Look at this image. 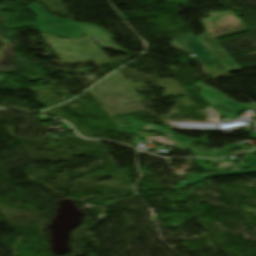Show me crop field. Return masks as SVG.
Returning a JSON list of instances; mask_svg holds the SVG:
<instances>
[{"instance_id": "crop-field-1", "label": "crop field", "mask_w": 256, "mask_h": 256, "mask_svg": "<svg viewBox=\"0 0 256 256\" xmlns=\"http://www.w3.org/2000/svg\"><path fill=\"white\" fill-rule=\"evenodd\" d=\"M204 21L215 39L248 31L245 25L232 11L226 13H212L211 18L204 19ZM212 27L215 28L213 29ZM216 30H218V32H215Z\"/></svg>"}, {"instance_id": "crop-field-4", "label": "crop field", "mask_w": 256, "mask_h": 256, "mask_svg": "<svg viewBox=\"0 0 256 256\" xmlns=\"http://www.w3.org/2000/svg\"><path fill=\"white\" fill-rule=\"evenodd\" d=\"M208 178L207 175H201V176H192L191 178L181 182L178 186L171 187L172 190H178L182 188H186L192 184H195L199 181H202L204 179Z\"/></svg>"}, {"instance_id": "crop-field-2", "label": "crop field", "mask_w": 256, "mask_h": 256, "mask_svg": "<svg viewBox=\"0 0 256 256\" xmlns=\"http://www.w3.org/2000/svg\"><path fill=\"white\" fill-rule=\"evenodd\" d=\"M173 48L196 55L200 62L216 61L195 36H183L171 41Z\"/></svg>"}, {"instance_id": "crop-field-5", "label": "crop field", "mask_w": 256, "mask_h": 256, "mask_svg": "<svg viewBox=\"0 0 256 256\" xmlns=\"http://www.w3.org/2000/svg\"><path fill=\"white\" fill-rule=\"evenodd\" d=\"M234 164L223 162L220 166L221 167H226V166H233Z\"/></svg>"}, {"instance_id": "crop-field-3", "label": "crop field", "mask_w": 256, "mask_h": 256, "mask_svg": "<svg viewBox=\"0 0 256 256\" xmlns=\"http://www.w3.org/2000/svg\"><path fill=\"white\" fill-rule=\"evenodd\" d=\"M198 39L208 49V51L221 63L227 72L241 70L217 45V43L206 32L199 36Z\"/></svg>"}, {"instance_id": "crop-field-6", "label": "crop field", "mask_w": 256, "mask_h": 256, "mask_svg": "<svg viewBox=\"0 0 256 256\" xmlns=\"http://www.w3.org/2000/svg\"><path fill=\"white\" fill-rule=\"evenodd\" d=\"M165 144H169V145H170V144H171V142L166 141V142H165Z\"/></svg>"}]
</instances>
